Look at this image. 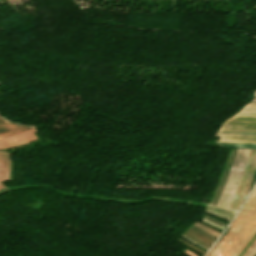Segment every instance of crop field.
I'll list each match as a JSON object with an SVG mask.
<instances>
[{"instance_id":"8a807250","label":"crop field","mask_w":256,"mask_h":256,"mask_svg":"<svg viewBox=\"0 0 256 256\" xmlns=\"http://www.w3.org/2000/svg\"><path fill=\"white\" fill-rule=\"evenodd\" d=\"M249 150L237 149L224 189L216 206L228 208L237 190Z\"/></svg>"},{"instance_id":"ac0d7876","label":"crop field","mask_w":256,"mask_h":256,"mask_svg":"<svg viewBox=\"0 0 256 256\" xmlns=\"http://www.w3.org/2000/svg\"><path fill=\"white\" fill-rule=\"evenodd\" d=\"M256 213V200L209 256H221Z\"/></svg>"},{"instance_id":"34b2d1b8","label":"crop field","mask_w":256,"mask_h":256,"mask_svg":"<svg viewBox=\"0 0 256 256\" xmlns=\"http://www.w3.org/2000/svg\"><path fill=\"white\" fill-rule=\"evenodd\" d=\"M218 131L256 133V117L231 116L221 124Z\"/></svg>"},{"instance_id":"412701ff","label":"crop field","mask_w":256,"mask_h":256,"mask_svg":"<svg viewBox=\"0 0 256 256\" xmlns=\"http://www.w3.org/2000/svg\"><path fill=\"white\" fill-rule=\"evenodd\" d=\"M256 231V215L247 224L243 231L238 235V237L229 246L226 252L222 256H237L240 250L244 247L247 241Z\"/></svg>"},{"instance_id":"f4fd0767","label":"crop field","mask_w":256,"mask_h":256,"mask_svg":"<svg viewBox=\"0 0 256 256\" xmlns=\"http://www.w3.org/2000/svg\"><path fill=\"white\" fill-rule=\"evenodd\" d=\"M35 129L0 140V149L37 140Z\"/></svg>"},{"instance_id":"dd49c442","label":"crop field","mask_w":256,"mask_h":256,"mask_svg":"<svg viewBox=\"0 0 256 256\" xmlns=\"http://www.w3.org/2000/svg\"><path fill=\"white\" fill-rule=\"evenodd\" d=\"M220 136L219 141L256 143V135L216 134Z\"/></svg>"},{"instance_id":"e52e79f7","label":"crop field","mask_w":256,"mask_h":256,"mask_svg":"<svg viewBox=\"0 0 256 256\" xmlns=\"http://www.w3.org/2000/svg\"><path fill=\"white\" fill-rule=\"evenodd\" d=\"M256 198V188L253 191V193L251 194V196L248 198V200L246 201V203L244 204L243 208L241 209L240 213L238 214V216L236 217V219L234 220V222L230 225V227L232 228L236 222L241 218V216L245 213V211L248 209V207L251 205V203L255 200ZM230 228V229H231Z\"/></svg>"},{"instance_id":"d8731c3e","label":"crop field","mask_w":256,"mask_h":256,"mask_svg":"<svg viewBox=\"0 0 256 256\" xmlns=\"http://www.w3.org/2000/svg\"><path fill=\"white\" fill-rule=\"evenodd\" d=\"M219 146H227L234 148H246V149H256V144H241V143H225L217 142Z\"/></svg>"},{"instance_id":"5a996713","label":"crop field","mask_w":256,"mask_h":256,"mask_svg":"<svg viewBox=\"0 0 256 256\" xmlns=\"http://www.w3.org/2000/svg\"><path fill=\"white\" fill-rule=\"evenodd\" d=\"M188 229L198 233L199 235H201V236H203V237H205V238H207L211 241H214L216 239V237H214V236H212V235H210V234H208V233H206V232H204V231H202V230H200V229H198V228H196L192 225Z\"/></svg>"},{"instance_id":"3316defc","label":"crop field","mask_w":256,"mask_h":256,"mask_svg":"<svg viewBox=\"0 0 256 256\" xmlns=\"http://www.w3.org/2000/svg\"><path fill=\"white\" fill-rule=\"evenodd\" d=\"M255 151H256V150H253V152H252V155H251V158H250V161H249V164H248V167H247V170H246V173H245V176H244V179H243V182H242V185H241V188H240V191H239L238 197H237V199H236V202H235V205H234V208H233L234 210H235V208H236V205H237L238 199H239V197H240V194H241V191H242V188H243V185H244L245 179H246V177H247V174H248V171H249V168H250V165H251L252 159H253V157H254Z\"/></svg>"},{"instance_id":"28ad6ade","label":"crop field","mask_w":256,"mask_h":256,"mask_svg":"<svg viewBox=\"0 0 256 256\" xmlns=\"http://www.w3.org/2000/svg\"><path fill=\"white\" fill-rule=\"evenodd\" d=\"M235 115H249V116H256V109L255 108H242L239 112Z\"/></svg>"},{"instance_id":"d1516ede","label":"crop field","mask_w":256,"mask_h":256,"mask_svg":"<svg viewBox=\"0 0 256 256\" xmlns=\"http://www.w3.org/2000/svg\"><path fill=\"white\" fill-rule=\"evenodd\" d=\"M251 152H252V150H250V152H249V155H248V158H247V162H246V165H245V168H244V171H243L242 177H241V181H240V184H239L238 190H237L236 195H235V197H234V199H233V202H232V204H231V206H230V208H231V209L233 208V205H234L235 199H236V197H237V194H238V191H239V188H240V185H241V182H242V179H243V176H244V173H245V170H246V167H247V164H248V161H249V158H250Z\"/></svg>"},{"instance_id":"22f410ed","label":"crop field","mask_w":256,"mask_h":256,"mask_svg":"<svg viewBox=\"0 0 256 256\" xmlns=\"http://www.w3.org/2000/svg\"><path fill=\"white\" fill-rule=\"evenodd\" d=\"M255 172H256V164H255V167H254V169H253V171H252V174H251V177H250V180H249V183H248L246 192H245V194H244V197H243V199H242V201H241V204H242V202H243V200H244V198H245V196H246V194H247V192H248V189H249V187H250V185H251V183H252V180H253V178H254ZM241 204H240V205H241ZM239 207H240V206H239Z\"/></svg>"},{"instance_id":"cbeb9de0","label":"crop field","mask_w":256,"mask_h":256,"mask_svg":"<svg viewBox=\"0 0 256 256\" xmlns=\"http://www.w3.org/2000/svg\"><path fill=\"white\" fill-rule=\"evenodd\" d=\"M244 107H255L256 108V104H247L246 106Z\"/></svg>"},{"instance_id":"5142ce71","label":"crop field","mask_w":256,"mask_h":256,"mask_svg":"<svg viewBox=\"0 0 256 256\" xmlns=\"http://www.w3.org/2000/svg\"><path fill=\"white\" fill-rule=\"evenodd\" d=\"M4 120L2 117H0V121Z\"/></svg>"},{"instance_id":"d9b57169","label":"crop field","mask_w":256,"mask_h":256,"mask_svg":"<svg viewBox=\"0 0 256 256\" xmlns=\"http://www.w3.org/2000/svg\"><path fill=\"white\" fill-rule=\"evenodd\" d=\"M252 103H256V101H252Z\"/></svg>"},{"instance_id":"733c2abd","label":"crop field","mask_w":256,"mask_h":256,"mask_svg":"<svg viewBox=\"0 0 256 256\" xmlns=\"http://www.w3.org/2000/svg\"><path fill=\"white\" fill-rule=\"evenodd\" d=\"M3 187L1 184H0V188Z\"/></svg>"},{"instance_id":"4a817a6b","label":"crop field","mask_w":256,"mask_h":256,"mask_svg":"<svg viewBox=\"0 0 256 256\" xmlns=\"http://www.w3.org/2000/svg\"><path fill=\"white\" fill-rule=\"evenodd\" d=\"M254 95L256 96V93H254Z\"/></svg>"},{"instance_id":"bc2a9ffb","label":"crop field","mask_w":256,"mask_h":256,"mask_svg":"<svg viewBox=\"0 0 256 256\" xmlns=\"http://www.w3.org/2000/svg\"><path fill=\"white\" fill-rule=\"evenodd\" d=\"M255 99H256V97H255Z\"/></svg>"},{"instance_id":"214f88e0","label":"crop field","mask_w":256,"mask_h":256,"mask_svg":"<svg viewBox=\"0 0 256 256\" xmlns=\"http://www.w3.org/2000/svg\"><path fill=\"white\" fill-rule=\"evenodd\" d=\"M256 92V91H255Z\"/></svg>"}]
</instances>
